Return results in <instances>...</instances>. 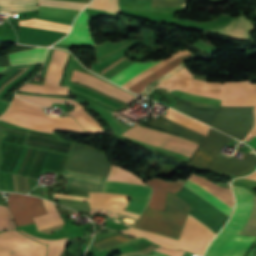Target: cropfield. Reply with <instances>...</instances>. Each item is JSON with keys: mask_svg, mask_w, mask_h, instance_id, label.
I'll return each mask as SVG.
<instances>
[{"mask_svg": "<svg viewBox=\"0 0 256 256\" xmlns=\"http://www.w3.org/2000/svg\"><path fill=\"white\" fill-rule=\"evenodd\" d=\"M60 42L62 43H74V44H86V45H95L94 39L92 38L91 35V30L90 26L88 23V18L86 12H82L78 18L76 19L72 32L63 40ZM136 42H121V43H112V42H106L101 45L94 46L95 52H96V57H97V62L104 61L106 59H109L113 56H116L118 54H121L123 51H125L127 48L135 44ZM186 53H189L187 51H181L178 52L172 56H170L168 59L162 61L161 63L149 68L150 66L158 63V62H152V63H135L128 67L127 69L123 70L122 72L118 73L114 77L110 78L113 82L117 83L118 85H123L129 80L133 79L137 75L136 78L133 80L129 81L122 87L127 88L130 86L132 83L136 82L137 80L141 79L142 77L148 75L149 73L153 72L154 70L158 69L162 65L166 64L170 60H172L175 57L184 55ZM192 56V54H187L181 57H178L166 65L162 66L158 70L154 71L153 73L149 74L148 76L144 77L143 79L137 81L136 83L132 84L130 87L127 89L139 94L145 87H147L153 80L157 79L161 75L165 74L166 72L170 71L171 69L175 68L179 64L183 63L182 58ZM160 62V61H159ZM185 64H181L175 69L171 70L170 72L166 73L165 75L161 76L157 80L153 81L146 89H144L140 95L146 96V94L162 82H164L166 79L174 75L175 73L179 72L183 68H185ZM192 75L188 71V69H184L181 72L175 74L171 78H169L167 81L162 83L161 87L164 88H170V89H179L187 86V84L191 81Z\"/></svg>", "mask_w": 256, "mask_h": 256, "instance_id": "1", "label": "crop field"}, {"mask_svg": "<svg viewBox=\"0 0 256 256\" xmlns=\"http://www.w3.org/2000/svg\"><path fill=\"white\" fill-rule=\"evenodd\" d=\"M0 129L4 132L10 133V134H16V135H20V136L30 137V138L48 141V142H52V143H57V144H61V145H66V146H70V147L73 146L72 143L63 142L53 134L42 133V132L25 129V128L18 127V126H15L10 123L3 122V121H0ZM10 134H6L0 144L1 159H2L5 149L7 148L8 144H9V141L12 137V135H10ZM25 140H26V138H24V137L13 136V138L11 140V144L9 146V149L7 148L8 151L6 150L7 154L5 151L6 157H5V154L3 156V159H4V157H5V159H4V162L2 159L3 164L1 162V164H2V167L0 166L1 170H2L4 163L8 157V154L11 150L10 147H11L12 143H18V144L23 145ZM52 143L42 142V141L33 140V139H27L25 145L59 153V155H58L56 153L50 152L47 157V160L43 166V169L50 170L57 155H58L51 170L61 173L65 166V163L69 157V154H70V151L72 148L66 147V146H61V145H56V144H52ZM15 145L16 144H13L11 147L12 150H11L9 157L5 163V166L2 170L3 172L6 169V166L9 162V159L11 157V154L14 150ZM22 145L18 146L7 173L0 172V190L18 192L15 174L19 175L22 193H24V191H23L21 175L25 176L28 191H29L30 186L28 187L27 177H29L30 185L32 183L31 177L34 178V182L36 185L35 178H37L39 171L42 167V164H43L48 152L45 150L26 147V146H22ZM12 173L14 174V181H12ZM17 175H16V177H17L18 189H19V192L21 193L19 179H18ZM23 176H22V178H23L24 190H25V193H27L25 179ZM37 185H38V182H37ZM32 186L34 188V183L32 184ZM30 190H31V188H30Z\"/></svg>", "mask_w": 256, "mask_h": 256, "instance_id": "2", "label": "crop field"}, {"mask_svg": "<svg viewBox=\"0 0 256 256\" xmlns=\"http://www.w3.org/2000/svg\"><path fill=\"white\" fill-rule=\"evenodd\" d=\"M221 106H256V84L225 83ZM254 107H221L212 127L242 141L253 125Z\"/></svg>", "mask_w": 256, "mask_h": 256, "instance_id": "3", "label": "crop field"}, {"mask_svg": "<svg viewBox=\"0 0 256 256\" xmlns=\"http://www.w3.org/2000/svg\"><path fill=\"white\" fill-rule=\"evenodd\" d=\"M110 166L111 163L105 161L103 153L75 145L65 169L106 177ZM68 170L61 174L69 177L68 186L87 191L102 190L106 178Z\"/></svg>", "mask_w": 256, "mask_h": 256, "instance_id": "4", "label": "crop field"}, {"mask_svg": "<svg viewBox=\"0 0 256 256\" xmlns=\"http://www.w3.org/2000/svg\"><path fill=\"white\" fill-rule=\"evenodd\" d=\"M231 140L232 138L211 128L203 144L191 161L190 166L222 172L228 159L219 157L218 153L220 147L228 144ZM255 164L256 156L245 154L243 160L229 159L223 173L241 176L254 168Z\"/></svg>", "mask_w": 256, "mask_h": 256, "instance_id": "5", "label": "crop field"}, {"mask_svg": "<svg viewBox=\"0 0 256 256\" xmlns=\"http://www.w3.org/2000/svg\"><path fill=\"white\" fill-rule=\"evenodd\" d=\"M191 205L168 193L164 212L146 208L133 226L173 239H179Z\"/></svg>", "mask_w": 256, "mask_h": 256, "instance_id": "6", "label": "crop field"}, {"mask_svg": "<svg viewBox=\"0 0 256 256\" xmlns=\"http://www.w3.org/2000/svg\"><path fill=\"white\" fill-rule=\"evenodd\" d=\"M0 119L18 126L49 133H54L53 129L86 133L73 119H59L45 115L41 107L17 97Z\"/></svg>", "mask_w": 256, "mask_h": 256, "instance_id": "7", "label": "crop field"}, {"mask_svg": "<svg viewBox=\"0 0 256 256\" xmlns=\"http://www.w3.org/2000/svg\"><path fill=\"white\" fill-rule=\"evenodd\" d=\"M120 232L135 237L143 236L163 247L172 249H185L201 256L207 244L215 236V234H213L203 224H201L199 221L192 218L191 216H188L187 218L185 227L179 241L133 228Z\"/></svg>", "mask_w": 256, "mask_h": 256, "instance_id": "8", "label": "crop field"}, {"mask_svg": "<svg viewBox=\"0 0 256 256\" xmlns=\"http://www.w3.org/2000/svg\"><path fill=\"white\" fill-rule=\"evenodd\" d=\"M183 187L187 188L188 190H190L191 192H193L194 194H196L197 196H199L200 198H202L203 200H205L206 202H208L209 204H211L212 206H214L215 208H217L218 210H220L221 212L230 217L231 208H229L221 201H219L218 199H216L215 197L201 189L199 186H197L190 180H187ZM185 188H182V190L179 193H177L179 197L187 201L189 204H191L192 206L206 214L208 217H210L220 225L223 226L227 222L229 217H227L226 215H224L223 213H221L208 203L204 202L203 200H201L200 198H198ZM194 207H191L189 213L198 218L203 223H205L210 229H212L217 234V232L220 230L222 226L208 218L206 215H204Z\"/></svg>", "mask_w": 256, "mask_h": 256, "instance_id": "9", "label": "crop field"}, {"mask_svg": "<svg viewBox=\"0 0 256 256\" xmlns=\"http://www.w3.org/2000/svg\"><path fill=\"white\" fill-rule=\"evenodd\" d=\"M103 191L131 195L126 209L141 214L149 200L151 188L145 187L135 175L112 165Z\"/></svg>", "mask_w": 256, "mask_h": 256, "instance_id": "10", "label": "crop field"}, {"mask_svg": "<svg viewBox=\"0 0 256 256\" xmlns=\"http://www.w3.org/2000/svg\"><path fill=\"white\" fill-rule=\"evenodd\" d=\"M232 187L236 199V207L232 218L223 230L238 234L249 217L253 201L250 217L239 234L256 235V196L252 194L251 201V192L249 190L235 186Z\"/></svg>", "mask_w": 256, "mask_h": 256, "instance_id": "11", "label": "crop field"}, {"mask_svg": "<svg viewBox=\"0 0 256 256\" xmlns=\"http://www.w3.org/2000/svg\"><path fill=\"white\" fill-rule=\"evenodd\" d=\"M124 136L144 141L186 156L191 157L197 147V144L180 137L134 126L126 131ZM199 146V145H198Z\"/></svg>", "mask_w": 256, "mask_h": 256, "instance_id": "12", "label": "crop field"}, {"mask_svg": "<svg viewBox=\"0 0 256 256\" xmlns=\"http://www.w3.org/2000/svg\"><path fill=\"white\" fill-rule=\"evenodd\" d=\"M167 112H168V114L165 118L172 120L178 124H181L187 128H190V129L206 136V134L209 130V127H207L195 120H192L180 113H177L171 109L167 110ZM163 117H159L157 119H152V121L149 123V126H153L156 128H160L163 130L177 133L181 136H184L188 139L194 140V141L202 144L203 140L205 139V136H203L199 133H196L190 129H187L181 125H178L172 121H169Z\"/></svg>", "mask_w": 256, "mask_h": 256, "instance_id": "13", "label": "crop field"}, {"mask_svg": "<svg viewBox=\"0 0 256 256\" xmlns=\"http://www.w3.org/2000/svg\"><path fill=\"white\" fill-rule=\"evenodd\" d=\"M68 55H69L68 53L61 50L54 51L53 56L49 63L44 84L59 85L63 67L67 61ZM19 90L44 93V94L69 95L68 87H64V86H51V85H39V84L27 83L23 85Z\"/></svg>", "mask_w": 256, "mask_h": 256, "instance_id": "14", "label": "crop field"}, {"mask_svg": "<svg viewBox=\"0 0 256 256\" xmlns=\"http://www.w3.org/2000/svg\"><path fill=\"white\" fill-rule=\"evenodd\" d=\"M255 239L256 236H239L221 231L205 256H245Z\"/></svg>", "mask_w": 256, "mask_h": 256, "instance_id": "15", "label": "crop field"}, {"mask_svg": "<svg viewBox=\"0 0 256 256\" xmlns=\"http://www.w3.org/2000/svg\"><path fill=\"white\" fill-rule=\"evenodd\" d=\"M30 240L31 239L23 236L21 233H19L16 230L1 232L0 233V253L10 250L19 245H22ZM38 243L39 242L32 240L27 244H24L15 249H12L10 251L2 253V254H0V256H12V255L17 254L23 250H26ZM45 255H46V245H43L40 243V244H38L26 251H23L17 255H14V256H45Z\"/></svg>", "mask_w": 256, "mask_h": 256, "instance_id": "16", "label": "crop field"}, {"mask_svg": "<svg viewBox=\"0 0 256 256\" xmlns=\"http://www.w3.org/2000/svg\"><path fill=\"white\" fill-rule=\"evenodd\" d=\"M8 208L17 226L34 223L32 217L46 213L41 199L15 193H9Z\"/></svg>", "mask_w": 256, "mask_h": 256, "instance_id": "17", "label": "crop field"}, {"mask_svg": "<svg viewBox=\"0 0 256 256\" xmlns=\"http://www.w3.org/2000/svg\"><path fill=\"white\" fill-rule=\"evenodd\" d=\"M16 95L32 103H36V104H40L48 107L52 105V102L69 103L76 108L70 111L69 114L73 118H75L88 133L104 132L101 125L97 121H95L86 111H84L83 107L74 100L46 97V96L19 95V94H16Z\"/></svg>", "mask_w": 256, "mask_h": 256, "instance_id": "18", "label": "crop field"}, {"mask_svg": "<svg viewBox=\"0 0 256 256\" xmlns=\"http://www.w3.org/2000/svg\"><path fill=\"white\" fill-rule=\"evenodd\" d=\"M54 198H67V199H75V200H85L90 201V208L98 207L109 209L112 211H116L119 213H123L138 219L139 214L124 211L125 207L127 206L129 196L126 195H118V194H108V193H100V192H93L89 193V198H80L70 195H63V194H54Z\"/></svg>", "mask_w": 256, "mask_h": 256, "instance_id": "19", "label": "crop field"}, {"mask_svg": "<svg viewBox=\"0 0 256 256\" xmlns=\"http://www.w3.org/2000/svg\"><path fill=\"white\" fill-rule=\"evenodd\" d=\"M71 80L74 82H78V83L87 85L105 95L114 97L123 102L129 103L137 98V97H135L127 92H124V91H122V90L96 78V77L86 75V74L78 72L76 70L74 71V74H73Z\"/></svg>", "mask_w": 256, "mask_h": 256, "instance_id": "20", "label": "crop field"}, {"mask_svg": "<svg viewBox=\"0 0 256 256\" xmlns=\"http://www.w3.org/2000/svg\"><path fill=\"white\" fill-rule=\"evenodd\" d=\"M153 187L152 198L148 204L149 208L163 211L167 192L177 193L181 190L184 180L177 179L176 182L154 178L147 181Z\"/></svg>", "mask_w": 256, "mask_h": 256, "instance_id": "21", "label": "crop field"}, {"mask_svg": "<svg viewBox=\"0 0 256 256\" xmlns=\"http://www.w3.org/2000/svg\"><path fill=\"white\" fill-rule=\"evenodd\" d=\"M254 28L249 19L243 14L240 17L234 19L223 31L219 34L237 38L245 39L249 37V32Z\"/></svg>", "mask_w": 256, "mask_h": 256, "instance_id": "22", "label": "crop field"}, {"mask_svg": "<svg viewBox=\"0 0 256 256\" xmlns=\"http://www.w3.org/2000/svg\"><path fill=\"white\" fill-rule=\"evenodd\" d=\"M224 83H206L194 80L181 91L221 99Z\"/></svg>", "mask_w": 256, "mask_h": 256, "instance_id": "23", "label": "crop field"}, {"mask_svg": "<svg viewBox=\"0 0 256 256\" xmlns=\"http://www.w3.org/2000/svg\"><path fill=\"white\" fill-rule=\"evenodd\" d=\"M47 48L37 47L9 55L11 65L42 62Z\"/></svg>", "mask_w": 256, "mask_h": 256, "instance_id": "24", "label": "crop field"}, {"mask_svg": "<svg viewBox=\"0 0 256 256\" xmlns=\"http://www.w3.org/2000/svg\"><path fill=\"white\" fill-rule=\"evenodd\" d=\"M174 107L210 126L218 112L214 110H198V109H195L193 105L188 104L181 100H179Z\"/></svg>", "mask_w": 256, "mask_h": 256, "instance_id": "25", "label": "crop field"}, {"mask_svg": "<svg viewBox=\"0 0 256 256\" xmlns=\"http://www.w3.org/2000/svg\"><path fill=\"white\" fill-rule=\"evenodd\" d=\"M42 201H43V205L48 214L33 218L34 222L37 226V229L40 230V229H44L47 227L63 224L55 207H54V204L52 202H49V201H46L43 199H42Z\"/></svg>", "mask_w": 256, "mask_h": 256, "instance_id": "26", "label": "crop field"}, {"mask_svg": "<svg viewBox=\"0 0 256 256\" xmlns=\"http://www.w3.org/2000/svg\"><path fill=\"white\" fill-rule=\"evenodd\" d=\"M37 9L36 0H0V12H19Z\"/></svg>", "mask_w": 256, "mask_h": 256, "instance_id": "27", "label": "crop field"}, {"mask_svg": "<svg viewBox=\"0 0 256 256\" xmlns=\"http://www.w3.org/2000/svg\"><path fill=\"white\" fill-rule=\"evenodd\" d=\"M21 231V230H19ZM23 232V231H21ZM24 234L36 239L37 241H40V242H44L46 244H48V254L47 256H60L63 248H64V245H65V242H66V238H63V239H60V240H43V239H39V238H36V237H33L25 232H23Z\"/></svg>", "mask_w": 256, "mask_h": 256, "instance_id": "28", "label": "crop field"}, {"mask_svg": "<svg viewBox=\"0 0 256 256\" xmlns=\"http://www.w3.org/2000/svg\"><path fill=\"white\" fill-rule=\"evenodd\" d=\"M39 4L81 10L87 4L67 0H39Z\"/></svg>", "mask_w": 256, "mask_h": 256, "instance_id": "29", "label": "crop field"}, {"mask_svg": "<svg viewBox=\"0 0 256 256\" xmlns=\"http://www.w3.org/2000/svg\"><path fill=\"white\" fill-rule=\"evenodd\" d=\"M88 8L104 9L114 13H120L117 0H93Z\"/></svg>", "mask_w": 256, "mask_h": 256, "instance_id": "30", "label": "crop field"}, {"mask_svg": "<svg viewBox=\"0 0 256 256\" xmlns=\"http://www.w3.org/2000/svg\"><path fill=\"white\" fill-rule=\"evenodd\" d=\"M16 229L7 206H0V230Z\"/></svg>", "mask_w": 256, "mask_h": 256, "instance_id": "31", "label": "crop field"}, {"mask_svg": "<svg viewBox=\"0 0 256 256\" xmlns=\"http://www.w3.org/2000/svg\"><path fill=\"white\" fill-rule=\"evenodd\" d=\"M127 240L128 239H125V238H122V237L116 235V236H113L111 238H108V239H105V240L93 243V245L95 247H97L101 251V250H103V249H105L107 247L116 245L118 243H121V242H124V241H127Z\"/></svg>", "mask_w": 256, "mask_h": 256, "instance_id": "32", "label": "crop field"}, {"mask_svg": "<svg viewBox=\"0 0 256 256\" xmlns=\"http://www.w3.org/2000/svg\"><path fill=\"white\" fill-rule=\"evenodd\" d=\"M186 0H152L151 7H183Z\"/></svg>", "mask_w": 256, "mask_h": 256, "instance_id": "33", "label": "crop field"}, {"mask_svg": "<svg viewBox=\"0 0 256 256\" xmlns=\"http://www.w3.org/2000/svg\"><path fill=\"white\" fill-rule=\"evenodd\" d=\"M255 126L254 128L251 130V132L256 134V109H255ZM247 136V138L244 140V142H246L247 144H249L251 147L256 149V135L251 133Z\"/></svg>", "mask_w": 256, "mask_h": 256, "instance_id": "34", "label": "crop field"}, {"mask_svg": "<svg viewBox=\"0 0 256 256\" xmlns=\"http://www.w3.org/2000/svg\"><path fill=\"white\" fill-rule=\"evenodd\" d=\"M154 251H157V252L169 255V256H182L184 253V251H171V250H168V249H165L162 247H160Z\"/></svg>", "mask_w": 256, "mask_h": 256, "instance_id": "35", "label": "crop field"}, {"mask_svg": "<svg viewBox=\"0 0 256 256\" xmlns=\"http://www.w3.org/2000/svg\"><path fill=\"white\" fill-rule=\"evenodd\" d=\"M0 64H1V66L10 65L8 55L0 57Z\"/></svg>", "mask_w": 256, "mask_h": 256, "instance_id": "36", "label": "crop field"}, {"mask_svg": "<svg viewBox=\"0 0 256 256\" xmlns=\"http://www.w3.org/2000/svg\"><path fill=\"white\" fill-rule=\"evenodd\" d=\"M245 178L256 179V172Z\"/></svg>", "mask_w": 256, "mask_h": 256, "instance_id": "37", "label": "crop field"}, {"mask_svg": "<svg viewBox=\"0 0 256 256\" xmlns=\"http://www.w3.org/2000/svg\"><path fill=\"white\" fill-rule=\"evenodd\" d=\"M0 205H3V198H2V194L0 193Z\"/></svg>", "mask_w": 256, "mask_h": 256, "instance_id": "38", "label": "crop field"}, {"mask_svg": "<svg viewBox=\"0 0 256 256\" xmlns=\"http://www.w3.org/2000/svg\"><path fill=\"white\" fill-rule=\"evenodd\" d=\"M4 135H5V134L0 130V141H1V139L3 138Z\"/></svg>", "mask_w": 256, "mask_h": 256, "instance_id": "39", "label": "crop field"}, {"mask_svg": "<svg viewBox=\"0 0 256 256\" xmlns=\"http://www.w3.org/2000/svg\"><path fill=\"white\" fill-rule=\"evenodd\" d=\"M7 67L0 68V73L5 70Z\"/></svg>", "mask_w": 256, "mask_h": 256, "instance_id": "40", "label": "crop field"}, {"mask_svg": "<svg viewBox=\"0 0 256 256\" xmlns=\"http://www.w3.org/2000/svg\"><path fill=\"white\" fill-rule=\"evenodd\" d=\"M61 256H67L65 250L63 251V253L61 254Z\"/></svg>", "mask_w": 256, "mask_h": 256, "instance_id": "41", "label": "crop field"}, {"mask_svg": "<svg viewBox=\"0 0 256 256\" xmlns=\"http://www.w3.org/2000/svg\"><path fill=\"white\" fill-rule=\"evenodd\" d=\"M148 256H157V255H148Z\"/></svg>", "mask_w": 256, "mask_h": 256, "instance_id": "42", "label": "crop field"}]
</instances>
